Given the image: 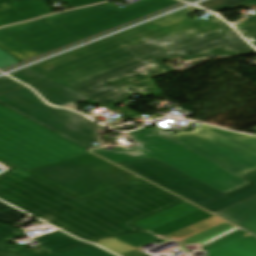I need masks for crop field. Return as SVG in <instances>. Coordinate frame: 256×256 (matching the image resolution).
Wrapping results in <instances>:
<instances>
[{
  "label": "crop field",
  "instance_id": "8a807250",
  "mask_svg": "<svg viewBox=\"0 0 256 256\" xmlns=\"http://www.w3.org/2000/svg\"><path fill=\"white\" fill-rule=\"evenodd\" d=\"M197 11L205 10L193 6L30 67L128 118L139 116L115 106L136 93L162 94L152 79L174 70L161 61L256 53L218 17H186Z\"/></svg>",
  "mask_w": 256,
  "mask_h": 256
},
{
  "label": "crop field",
  "instance_id": "ac0d7876",
  "mask_svg": "<svg viewBox=\"0 0 256 256\" xmlns=\"http://www.w3.org/2000/svg\"><path fill=\"white\" fill-rule=\"evenodd\" d=\"M0 198L89 241L143 232L132 224L186 201L141 179L81 199L3 160Z\"/></svg>",
  "mask_w": 256,
  "mask_h": 256
},
{
  "label": "crop field",
  "instance_id": "34b2d1b8",
  "mask_svg": "<svg viewBox=\"0 0 256 256\" xmlns=\"http://www.w3.org/2000/svg\"><path fill=\"white\" fill-rule=\"evenodd\" d=\"M129 134L141 146L131 150L118 147L91 151L115 163L154 157L225 194L252 183L150 129Z\"/></svg>",
  "mask_w": 256,
  "mask_h": 256
},
{
  "label": "crop field",
  "instance_id": "412701ff",
  "mask_svg": "<svg viewBox=\"0 0 256 256\" xmlns=\"http://www.w3.org/2000/svg\"><path fill=\"white\" fill-rule=\"evenodd\" d=\"M88 151L0 105V158L31 169Z\"/></svg>",
  "mask_w": 256,
  "mask_h": 256
},
{
  "label": "crop field",
  "instance_id": "f4fd0767",
  "mask_svg": "<svg viewBox=\"0 0 256 256\" xmlns=\"http://www.w3.org/2000/svg\"><path fill=\"white\" fill-rule=\"evenodd\" d=\"M27 171L82 198L138 178L91 153Z\"/></svg>",
  "mask_w": 256,
  "mask_h": 256
},
{
  "label": "crop field",
  "instance_id": "dd49c442",
  "mask_svg": "<svg viewBox=\"0 0 256 256\" xmlns=\"http://www.w3.org/2000/svg\"><path fill=\"white\" fill-rule=\"evenodd\" d=\"M0 104L86 149L103 146L97 130L106 127L76 112L46 105L27 87L0 94Z\"/></svg>",
  "mask_w": 256,
  "mask_h": 256
},
{
  "label": "crop field",
  "instance_id": "e52e79f7",
  "mask_svg": "<svg viewBox=\"0 0 256 256\" xmlns=\"http://www.w3.org/2000/svg\"><path fill=\"white\" fill-rule=\"evenodd\" d=\"M178 0H141L125 8L110 3L46 17L71 37L38 53L43 54L149 13L179 3Z\"/></svg>",
  "mask_w": 256,
  "mask_h": 256
},
{
  "label": "crop field",
  "instance_id": "d8731c3e",
  "mask_svg": "<svg viewBox=\"0 0 256 256\" xmlns=\"http://www.w3.org/2000/svg\"><path fill=\"white\" fill-rule=\"evenodd\" d=\"M151 129L240 176L256 170V150L239 142L252 135L207 125L174 135L158 127Z\"/></svg>",
  "mask_w": 256,
  "mask_h": 256
},
{
  "label": "crop field",
  "instance_id": "5a996713",
  "mask_svg": "<svg viewBox=\"0 0 256 256\" xmlns=\"http://www.w3.org/2000/svg\"><path fill=\"white\" fill-rule=\"evenodd\" d=\"M119 165L214 213L256 195V186L253 184L225 195L154 158Z\"/></svg>",
  "mask_w": 256,
  "mask_h": 256
},
{
  "label": "crop field",
  "instance_id": "3316defc",
  "mask_svg": "<svg viewBox=\"0 0 256 256\" xmlns=\"http://www.w3.org/2000/svg\"><path fill=\"white\" fill-rule=\"evenodd\" d=\"M134 225L168 241L182 243L179 247L189 244L201 247L237 229L188 202Z\"/></svg>",
  "mask_w": 256,
  "mask_h": 256
},
{
  "label": "crop field",
  "instance_id": "28ad6ade",
  "mask_svg": "<svg viewBox=\"0 0 256 256\" xmlns=\"http://www.w3.org/2000/svg\"><path fill=\"white\" fill-rule=\"evenodd\" d=\"M1 30L36 53L69 37L44 18Z\"/></svg>",
  "mask_w": 256,
  "mask_h": 256
},
{
  "label": "crop field",
  "instance_id": "d1516ede",
  "mask_svg": "<svg viewBox=\"0 0 256 256\" xmlns=\"http://www.w3.org/2000/svg\"><path fill=\"white\" fill-rule=\"evenodd\" d=\"M201 250L207 256H256V237L238 230Z\"/></svg>",
  "mask_w": 256,
  "mask_h": 256
},
{
  "label": "crop field",
  "instance_id": "22f410ed",
  "mask_svg": "<svg viewBox=\"0 0 256 256\" xmlns=\"http://www.w3.org/2000/svg\"><path fill=\"white\" fill-rule=\"evenodd\" d=\"M48 0H11L0 4V26L52 13Z\"/></svg>",
  "mask_w": 256,
  "mask_h": 256
},
{
  "label": "crop field",
  "instance_id": "cbeb9de0",
  "mask_svg": "<svg viewBox=\"0 0 256 256\" xmlns=\"http://www.w3.org/2000/svg\"><path fill=\"white\" fill-rule=\"evenodd\" d=\"M154 242L158 244L166 243L159 238L144 232L135 235L101 240L100 244L122 256H149L142 252L140 246Z\"/></svg>",
  "mask_w": 256,
  "mask_h": 256
},
{
  "label": "crop field",
  "instance_id": "5142ce71",
  "mask_svg": "<svg viewBox=\"0 0 256 256\" xmlns=\"http://www.w3.org/2000/svg\"><path fill=\"white\" fill-rule=\"evenodd\" d=\"M30 86L34 88L47 102L55 106L78 103L89 99L49 78Z\"/></svg>",
  "mask_w": 256,
  "mask_h": 256
},
{
  "label": "crop field",
  "instance_id": "d9b57169",
  "mask_svg": "<svg viewBox=\"0 0 256 256\" xmlns=\"http://www.w3.org/2000/svg\"><path fill=\"white\" fill-rule=\"evenodd\" d=\"M216 214L256 234V196Z\"/></svg>",
  "mask_w": 256,
  "mask_h": 256
},
{
  "label": "crop field",
  "instance_id": "733c2abd",
  "mask_svg": "<svg viewBox=\"0 0 256 256\" xmlns=\"http://www.w3.org/2000/svg\"><path fill=\"white\" fill-rule=\"evenodd\" d=\"M35 239L45 245L48 251L63 250L70 246L86 244L59 231Z\"/></svg>",
  "mask_w": 256,
  "mask_h": 256
},
{
  "label": "crop field",
  "instance_id": "4a817a6b",
  "mask_svg": "<svg viewBox=\"0 0 256 256\" xmlns=\"http://www.w3.org/2000/svg\"><path fill=\"white\" fill-rule=\"evenodd\" d=\"M0 46L7 51L11 52L20 60L24 61L26 59L37 56L36 53L26 48L10 36L6 35L2 31H0Z\"/></svg>",
  "mask_w": 256,
  "mask_h": 256
},
{
  "label": "crop field",
  "instance_id": "bc2a9ffb",
  "mask_svg": "<svg viewBox=\"0 0 256 256\" xmlns=\"http://www.w3.org/2000/svg\"><path fill=\"white\" fill-rule=\"evenodd\" d=\"M42 256H113L93 245L77 246L65 251H58Z\"/></svg>",
  "mask_w": 256,
  "mask_h": 256
},
{
  "label": "crop field",
  "instance_id": "214f88e0",
  "mask_svg": "<svg viewBox=\"0 0 256 256\" xmlns=\"http://www.w3.org/2000/svg\"><path fill=\"white\" fill-rule=\"evenodd\" d=\"M252 3L256 4V0L246 1L244 3L238 4L236 6L229 8V10L233 11L244 5L248 6ZM235 28L250 42H256V15L248 18L246 22L235 26Z\"/></svg>",
  "mask_w": 256,
  "mask_h": 256
},
{
  "label": "crop field",
  "instance_id": "92a150f3",
  "mask_svg": "<svg viewBox=\"0 0 256 256\" xmlns=\"http://www.w3.org/2000/svg\"><path fill=\"white\" fill-rule=\"evenodd\" d=\"M0 234V256H38L30 249L22 248L18 245L8 246L4 241L10 240Z\"/></svg>",
  "mask_w": 256,
  "mask_h": 256
},
{
  "label": "crop field",
  "instance_id": "dafd665d",
  "mask_svg": "<svg viewBox=\"0 0 256 256\" xmlns=\"http://www.w3.org/2000/svg\"><path fill=\"white\" fill-rule=\"evenodd\" d=\"M10 76L20 80L21 82H23L27 85H30L32 83H35L37 81L47 78L46 76L38 73L37 71H35L29 67H27L23 70H20L18 72H15V73L11 74Z\"/></svg>",
  "mask_w": 256,
  "mask_h": 256
},
{
  "label": "crop field",
  "instance_id": "00972430",
  "mask_svg": "<svg viewBox=\"0 0 256 256\" xmlns=\"http://www.w3.org/2000/svg\"><path fill=\"white\" fill-rule=\"evenodd\" d=\"M24 216H26V214L0 201V220L13 222Z\"/></svg>",
  "mask_w": 256,
  "mask_h": 256
},
{
  "label": "crop field",
  "instance_id": "a9b5d70f",
  "mask_svg": "<svg viewBox=\"0 0 256 256\" xmlns=\"http://www.w3.org/2000/svg\"><path fill=\"white\" fill-rule=\"evenodd\" d=\"M243 1H246V0H210V1L204 2L202 4H199V6H202L204 8H207V9L217 13L221 10L229 8L233 5L241 3Z\"/></svg>",
  "mask_w": 256,
  "mask_h": 256
},
{
  "label": "crop field",
  "instance_id": "4177f3b9",
  "mask_svg": "<svg viewBox=\"0 0 256 256\" xmlns=\"http://www.w3.org/2000/svg\"><path fill=\"white\" fill-rule=\"evenodd\" d=\"M24 87L7 76L0 78V93Z\"/></svg>",
  "mask_w": 256,
  "mask_h": 256
},
{
  "label": "crop field",
  "instance_id": "730fd06b",
  "mask_svg": "<svg viewBox=\"0 0 256 256\" xmlns=\"http://www.w3.org/2000/svg\"><path fill=\"white\" fill-rule=\"evenodd\" d=\"M18 64L16 59L0 49V70Z\"/></svg>",
  "mask_w": 256,
  "mask_h": 256
},
{
  "label": "crop field",
  "instance_id": "eef30255",
  "mask_svg": "<svg viewBox=\"0 0 256 256\" xmlns=\"http://www.w3.org/2000/svg\"><path fill=\"white\" fill-rule=\"evenodd\" d=\"M71 8L93 4L89 0H62Z\"/></svg>",
  "mask_w": 256,
  "mask_h": 256
},
{
  "label": "crop field",
  "instance_id": "ae1a2a85",
  "mask_svg": "<svg viewBox=\"0 0 256 256\" xmlns=\"http://www.w3.org/2000/svg\"><path fill=\"white\" fill-rule=\"evenodd\" d=\"M0 233L4 234L3 236L8 237L10 239L21 235L19 231H11L7 229V226H2V225H0Z\"/></svg>",
  "mask_w": 256,
  "mask_h": 256
},
{
  "label": "crop field",
  "instance_id": "d3111659",
  "mask_svg": "<svg viewBox=\"0 0 256 256\" xmlns=\"http://www.w3.org/2000/svg\"><path fill=\"white\" fill-rule=\"evenodd\" d=\"M247 145H249L250 147L256 149V136L252 137V138H249V139H246L244 141H241Z\"/></svg>",
  "mask_w": 256,
  "mask_h": 256
},
{
  "label": "crop field",
  "instance_id": "750c4746",
  "mask_svg": "<svg viewBox=\"0 0 256 256\" xmlns=\"http://www.w3.org/2000/svg\"><path fill=\"white\" fill-rule=\"evenodd\" d=\"M243 177L248 179V180H250V181H252V182H254V183H256V171L252 172V173H250L248 175H245Z\"/></svg>",
  "mask_w": 256,
  "mask_h": 256
},
{
  "label": "crop field",
  "instance_id": "bd1437ed",
  "mask_svg": "<svg viewBox=\"0 0 256 256\" xmlns=\"http://www.w3.org/2000/svg\"><path fill=\"white\" fill-rule=\"evenodd\" d=\"M91 1L96 3V2H100V1H104V0H91Z\"/></svg>",
  "mask_w": 256,
  "mask_h": 256
},
{
  "label": "crop field",
  "instance_id": "1d83c4d3",
  "mask_svg": "<svg viewBox=\"0 0 256 256\" xmlns=\"http://www.w3.org/2000/svg\"><path fill=\"white\" fill-rule=\"evenodd\" d=\"M251 131H254V132H256V128L252 129Z\"/></svg>",
  "mask_w": 256,
  "mask_h": 256
},
{
  "label": "crop field",
  "instance_id": "120bbe31",
  "mask_svg": "<svg viewBox=\"0 0 256 256\" xmlns=\"http://www.w3.org/2000/svg\"><path fill=\"white\" fill-rule=\"evenodd\" d=\"M256 47V44H253Z\"/></svg>",
  "mask_w": 256,
  "mask_h": 256
},
{
  "label": "crop field",
  "instance_id": "d32e631a",
  "mask_svg": "<svg viewBox=\"0 0 256 256\" xmlns=\"http://www.w3.org/2000/svg\"><path fill=\"white\" fill-rule=\"evenodd\" d=\"M183 1H186V0H183Z\"/></svg>",
  "mask_w": 256,
  "mask_h": 256
}]
</instances>
